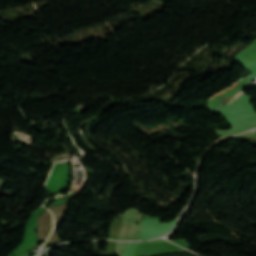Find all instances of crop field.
Segmentation results:
<instances>
[{
	"label": "crop field",
	"instance_id": "obj_1",
	"mask_svg": "<svg viewBox=\"0 0 256 256\" xmlns=\"http://www.w3.org/2000/svg\"><path fill=\"white\" fill-rule=\"evenodd\" d=\"M252 75H253L254 79H256V73H254V74H252Z\"/></svg>",
	"mask_w": 256,
	"mask_h": 256
}]
</instances>
